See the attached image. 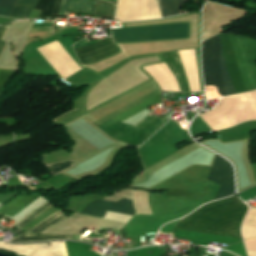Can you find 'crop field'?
I'll use <instances>...</instances> for the list:
<instances>
[{
    "mask_svg": "<svg viewBox=\"0 0 256 256\" xmlns=\"http://www.w3.org/2000/svg\"><path fill=\"white\" fill-rule=\"evenodd\" d=\"M86 39H87V41H89L88 37ZM86 39H84L74 45V48L76 51L114 42L112 38L99 40V41H93V42H87ZM118 52L119 51H118L115 43H112V44H108V45H104V46H100V47H96V48L79 51L76 53L79 56L82 64H88L91 62L101 60L107 56L113 55Z\"/></svg>",
    "mask_w": 256,
    "mask_h": 256,
    "instance_id": "crop-field-6",
    "label": "crop field"
},
{
    "mask_svg": "<svg viewBox=\"0 0 256 256\" xmlns=\"http://www.w3.org/2000/svg\"><path fill=\"white\" fill-rule=\"evenodd\" d=\"M38 0H18L11 17L29 18Z\"/></svg>",
    "mask_w": 256,
    "mask_h": 256,
    "instance_id": "crop-field-12",
    "label": "crop field"
},
{
    "mask_svg": "<svg viewBox=\"0 0 256 256\" xmlns=\"http://www.w3.org/2000/svg\"><path fill=\"white\" fill-rule=\"evenodd\" d=\"M248 206L238 197L208 204L182 219L176 229L241 237L240 226Z\"/></svg>",
    "mask_w": 256,
    "mask_h": 256,
    "instance_id": "crop-field-2",
    "label": "crop field"
},
{
    "mask_svg": "<svg viewBox=\"0 0 256 256\" xmlns=\"http://www.w3.org/2000/svg\"><path fill=\"white\" fill-rule=\"evenodd\" d=\"M160 102H161V95L159 94V95L151 98L150 100H148V101L130 109L129 111H127V112H125V113H123V114H121V115H119V116H117L113 119H115L117 121H121V120H123V119H125V118H127V117H129V116H131V115H133V114H135V113L153 105V104H158Z\"/></svg>",
    "mask_w": 256,
    "mask_h": 256,
    "instance_id": "crop-field-14",
    "label": "crop field"
},
{
    "mask_svg": "<svg viewBox=\"0 0 256 256\" xmlns=\"http://www.w3.org/2000/svg\"><path fill=\"white\" fill-rule=\"evenodd\" d=\"M163 17L178 15L182 5L188 0H158Z\"/></svg>",
    "mask_w": 256,
    "mask_h": 256,
    "instance_id": "crop-field-11",
    "label": "crop field"
},
{
    "mask_svg": "<svg viewBox=\"0 0 256 256\" xmlns=\"http://www.w3.org/2000/svg\"><path fill=\"white\" fill-rule=\"evenodd\" d=\"M65 217H67L65 213L62 210H59L58 212L48 217L46 220L41 222L39 225H37L35 228L30 230L29 232L42 233L43 231L50 228L51 226H53L60 220L64 219Z\"/></svg>",
    "mask_w": 256,
    "mask_h": 256,
    "instance_id": "crop-field-13",
    "label": "crop field"
},
{
    "mask_svg": "<svg viewBox=\"0 0 256 256\" xmlns=\"http://www.w3.org/2000/svg\"><path fill=\"white\" fill-rule=\"evenodd\" d=\"M74 235L62 236V235H48V234H34L25 233L20 237L13 240L14 242H35V241H48L57 239H72Z\"/></svg>",
    "mask_w": 256,
    "mask_h": 256,
    "instance_id": "crop-field-10",
    "label": "crop field"
},
{
    "mask_svg": "<svg viewBox=\"0 0 256 256\" xmlns=\"http://www.w3.org/2000/svg\"><path fill=\"white\" fill-rule=\"evenodd\" d=\"M96 0H39L35 9L43 10L41 16H64L65 11L94 13ZM67 14V12H66ZM65 14V16H66Z\"/></svg>",
    "mask_w": 256,
    "mask_h": 256,
    "instance_id": "crop-field-4",
    "label": "crop field"
},
{
    "mask_svg": "<svg viewBox=\"0 0 256 256\" xmlns=\"http://www.w3.org/2000/svg\"><path fill=\"white\" fill-rule=\"evenodd\" d=\"M75 164L73 163L72 160L65 161V162H60V163H54V164H49L48 167L50 171L52 172L53 176L62 173L72 167H74Z\"/></svg>",
    "mask_w": 256,
    "mask_h": 256,
    "instance_id": "crop-field-17",
    "label": "crop field"
},
{
    "mask_svg": "<svg viewBox=\"0 0 256 256\" xmlns=\"http://www.w3.org/2000/svg\"><path fill=\"white\" fill-rule=\"evenodd\" d=\"M161 56L164 58L168 66L171 68L173 73L176 75L181 91L182 92H191L192 87L190 84V80L188 74L186 72V68L184 66L182 57L179 51L163 53Z\"/></svg>",
    "mask_w": 256,
    "mask_h": 256,
    "instance_id": "crop-field-9",
    "label": "crop field"
},
{
    "mask_svg": "<svg viewBox=\"0 0 256 256\" xmlns=\"http://www.w3.org/2000/svg\"><path fill=\"white\" fill-rule=\"evenodd\" d=\"M17 0H0V16L9 17Z\"/></svg>",
    "mask_w": 256,
    "mask_h": 256,
    "instance_id": "crop-field-18",
    "label": "crop field"
},
{
    "mask_svg": "<svg viewBox=\"0 0 256 256\" xmlns=\"http://www.w3.org/2000/svg\"><path fill=\"white\" fill-rule=\"evenodd\" d=\"M107 211L131 216H134L135 214L132 200L129 198H125L118 203L106 200H98L90 203V205L84 208L81 213L104 218Z\"/></svg>",
    "mask_w": 256,
    "mask_h": 256,
    "instance_id": "crop-field-8",
    "label": "crop field"
},
{
    "mask_svg": "<svg viewBox=\"0 0 256 256\" xmlns=\"http://www.w3.org/2000/svg\"><path fill=\"white\" fill-rule=\"evenodd\" d=\"M15 71L13 70H1L0 69V87L6 83V81L12 76Z\"/></svg>",
    "mask_w": 256,
    "mask_h": 256,
    "instance_id": "crop-field-19",
    "label": "crop field"
},
{
    "mask_svg": "<svg viewBox=\"0 0 256 256\" xmlns=\"http://www.w3.org/2000/svg\"><path fill=\"white\" fill-rule=\"evenodd\" d=\"M5 27H0V37L2 36L3 32L5 31ZM4 45V42L0 41V51Z\"/></svg>",
    "mask_w": 256,
    "mask_h": 256,
    "instance_id": "crop-field-20",
    "label": "crop field"
},
{
    "mask_svg": "<svg viewBox=\"0 0 256 256\" xmlns=\"http://www.w3.org/2000/svg\"><path fill=\"white\" fill-rule=\"evenodd\" d=\"M226 69L236 93L256 89L254 69L246 38L239 35H218ZM218 37L202 44V65L206 87L212 97L236 94L225 69Z\"/></svg>",
    "mask_w": 256,
    "mask_h": 256,
    "instance_id": "crop-field-1",
    "label": "crop field"
},
{
    "mask_svg": "<svg viewBox=\"0 0 256 256\" xmlns=\"http://www.w3.org/2000/svg\"><path fill=\"white\" fill-rule=\"evenodd\" d=\"M51 206H53L50 201L46 204H44L43 206L39 207L38 209L34 210L33 212H31L29 215H27L22 221H20L16 226H18L19 228L13 230L15 232H17L18 234H23L24 230H22L21 228L26 225L28 222L32 221L33 219H35L37 216H39L40 214H42L44 211H46L47 209H49Z\"/></svg>",
    "mask_w": 256,
    "mask_h": 256,
    "instance_id": "crop-field-15",
    "label": "crop field"
},
{
    "mask_svg": "<svg viewBox=\"0 0 256 256\" xmlns=\"http://www.w3.org/2000/svg\"><path fill=\"white\" fill-rule=\"evenodd\" d=\"M189 23L118 28L113 35L188 31ZM188 32L113 36L115 42H138L157 39L187 37Z\"/></svg>",
    "mask_w": 256,
    "mask_h": 256,
    "instance_id": "crop-field-3",
    "label": "crop field"
},
{
    "mask_svg": "<svg viewBox=\"0 0 256 256\" xmlns=\"http://www.w3.org/2000/svg\"><path fill=\"white\" fill-rule=\"evenodd\" d=\"M208 179L221 186L215 199L235 193L234 170L232 164L216 155Z\"/></svg>",
    "mask_w": 256,
    "mask_h": 256,
    "instance_id": "crop-field-5",
    "label": "crop field"
},
{
    "mask_svg": "<svg viewBox=\"0 0 256 256\" xmlns=\"http://www.w3.org/2000/svg\"><path fill=\"white\" fill-rule=\"evenodd\" d=\"M114 11L115 5L105 1L97 0L95 15L113 18Z\"/></svg>",
    "mask_w": 256,
    "mask_h": 256,
    "instance_id": "crop-field-16",
    "label": "crop field"
},
{
    "mask_svg": "<svg viewBox=\"0 0 256 256\" xmlns=\"http://www.w3.org/2000/svg\"><path fill=\"white\" fill-rule=\"evenodd\" d=\"M0 248L10 249L25 256H67L63 242L30 245H9L0 243ZM18 254L19 256H22Z\"/></svg>",
    "mask_w": 256,
    "mask_h": 256,
    "instance_id": "crop-field-7",
    "label": "crop field"
},
{
    "mask_svg": "<svg viewBox=\"0 0 256 256\" xmlns=\"http://www.w3.org/2000/svg\"><path fill=\"white\" fill-rule=\"evenodd\" d=\"M110 2H113V3H117V0H108Z\"/></svg>",
    "mask_w": 256,
    "mask_h": 256,
    "instance_id": "crop-field-21",
    "label": "crop field"
}]
</instances>
